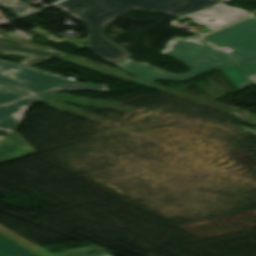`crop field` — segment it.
Segmentation results:
<instances>
[{"label": "crop field", "mask_w": 256, "mask_h": 256, "mask_svg": "<svg viewBox=\"0 0 256 256\" xmlns=\"http://www.w3.org/2000/svg\"><path fill=\"white\" fill-rule=\"evenodd\" d=\"M221 3V0H100L67 12L89 28L90 49L114 63L129 55L102 36L104 25L133 9L187 15Z\"/></svg>", "instance_id": "8a807250"}, {"label": "crop field", "mask_w": 256, "mask_h": 256, "mask_svg": "<svg viewBox=\"0 0 256 256\" xmlns=\"http://www.w3.org/2000/svg\"><path fill=\"white\" fill-rule=\"evenodd\" d=\"M201 41L196 37H173L166 44L167 48L161 51L188 64L193 69V72L190 73L173 75L129 58L114 64L135 75L141 84L156 79L187 80L208 70L235 65L227 53Z\"/></svg>", "instance_id": "ac0d7876"}, {"label": "crop field", "mask_w": 256, "mask_h": 256, "mask_svg": "<svg viewBox=\"0 0 256 256\" xmlns=\"http://www.w3.org/2000/svg\"><path fill=\"white\" fill-rule=\"evenodd\" d=\"M0 84L20 90L37 100L57 89L108 91L107 85L70 81L58 75L1 60Z\"/></svg>", "instance_id": "34b2d1b8"}, {"label": "crop field", "mask_w": 256, "mask_h": 256, "mask_svg": "<svg viewBox=\"0 0 256 256\" xmlns=\"http://www.w3.org/2000/svg\"><path fill=\"white\" fill-rule=\"evenodd\" d=\"M202 39L234 50L228 54L236 64L256 62V18L252 15Z\"/></svg>", "instance_id": "412701ff"}, {"label": "crop field", "mask_w": 256, "mask_h": 256, "mask_svg": "<svg viewBox=\"0 0 256 256\" xmlns=\"http://www.w3.org/2000/svg\"><path fill=\"white\" fill-rule=\"evenodd\" d=\"M248 14L250 13L244 10L219 4L217 6L180 17L177 20L180 21L186 17H193L194 19L190 22L216 30L239 19L245 18ZM209 19H214V21L210 22Z\"/></svg>", "instance_id": "f4fd0767"}, {"label": "crop field", "mask_w": 256, "mask_h": 256, "mask_svg": "<svg viewBox=\"0 0 256 256\" xmlns=\"http://www.w3.org/2000/svg\"><path fill=\"white\" fill-rule=\"evenodd\" d=\"M33 102L35 101L28 97L22 101L0 107V131L11 133L17 129L28 106Z\"/></svg>", "instance_id": "dd49c442"}, {"label": "crop field", "mask_w": 256, "mask_h": 256, "mask_svg": "<svg viewBox=\"0 0 256 256\" xmlns=\"http://www.w3.org/2000/svg\"><path fill=\"white\" fill-rule=\"evenodd\" d=\"M32 153L36 151L16 132L0 143V162Z\"/></svg>", "instance_id": "e52e79f7"}, {"label": "crop field", "mask_w": 256, "mask_h": 256, "mask_svg": "<svg viewBox=\"0 0 256 256\" xmlns=\"http://www.w3.org/2000/svg\"><path fill=\"white\" fill-rule=\"evenodd\" d=\"M0 234L4 237L16 242L17 244L35 252L36 254H38L40 256H69V255H74V254H78V253L102 249V247L92 244L90 246H87V247H84L81 249L52 254V253L42 249L41 247L37 246L36 244L30 242L29 240L21 237L20 235L14 233L13 231L7 229L6 227H4L2 225H0Z\"/></svg>", "instance_id": "d8731c3e"}, {"label": "crop field", "mask_w": 256, "mask_h": 256, "mask_svg": "<svg viewBox=\"0 0 256 256\" xmlns=\"http://www.w3.org/2000/svg\"><path fill=\"white\" fill-rule=\"evenodd\" d=\"M0 51L4 52H13V51H18V52H28L34 56H38L39 58L43 60H48L52 59L55 57H59L63 54L61 53H56V52H49V51H41V50H36L31 47H22V46H15L7 43L0 42Z\"/></svg>", "instance_id": "5a996713"}, {"label": "crop field", "mask_w": 256, "mask_h": 256, "mask_svg": "<svg viewBox=\"0 0 256 256\" xmlns=\"http://www.w3.org/2000/svg\"><path fill=\"white\" fill-rule=\"evenodd\" d=\"M220 70L239 90L253 84L238 66L222 68Z\"/></svg>", "instance_id": "3316defc"}, {"label": "crop field", "mask_w": 256, "mask_h": 256, "mask_svg": "<svg viewBox=\"0 0 256 256\" xmlns=\"http://www.w3.org/2000/svg\"><path fill=\"white\" fill-rule=\"evenodd\" d=\"M0 256H38L0 236Z\"/></svg>", "instance_id": "28ad6ade"}, {"label": "crop field", "mask_w": 256, "mask_h": 256, "mask_svg": "<svg viewBox=\"0 0 256 256\" xmlns=\"http://www.w3.org/2000/svg\"><path fill=\"white\" fill-rule=\"evenodd\" d=\"M0 7L12 12L17 16L37 10L22 0H0Z\"/></svg>", "instance_id": "d1516ede"}, {"label": "crop field", "mask_w": 256, "mask_h": 256, "mask_svg": "<svg viewBox=\"0 0 256 256\" xmlns=\"http://www.w3.org/2000/svg\"><path fill=\"white\" fill-rule=\"evenodd\" d=\"M25 97V95L0 85V105Z\"/></svg>", "instance_id": "22f410ed"}, {"label": "crop field", "mask_w": 256, "mask_h": 256, "mask_svg": "<svg viewBox=\"0 0 256 256\" xmlns=\"http://www.w3.org/2000/svg\"><path fill=\"white\" fill-rule=\"evenodd\" d=\"M95 1L97 0H67L57 6L65 13Z\"/></svg>", "instance_id": "cbeb9de0"}, {"label": "crop field", "mask_w": 256, "mask_h": 256, "mask_svg": "<svg viewBox=\"0 0 256 256\" xmlns=\"http://www.w3.org/2000/svg\"><path fill=\"white\" fill-rule=\"evenodd\" d=\"M242 71L251 79V81L256 84V63L239 66Z\"/></svg>", "instance_id": "5142ce71"}, {"label": "crop field", "mask_w": 256, "mask_h": 256, "mask_svg": "<svg viewBox=\"0 0 256 256\" xmlns=\"http://www.w3.org/2000/svg\"><path fill=\"white\" fill-rule=\"evenodd\" d=\"M78 256H110V255L106 250H100V251L78 255Z\"/></svg>", "instance_id": "d9b57169"}, {"label": "crop field", "mask_w": 256, "mask_h": 256, "mask_svg": "<svg viewBox=\"0 0 256 256\" xmlns=\"http://www.w3.org/2000/svg\"><path fill=\"white\" fill-rule=\"evenodd\" d=\"M37 59H38V58H37ZM42 61H43V60L38 59V60L31 61V62L23 63V64L28 65V66H31V65L40 63V62H42Z\"/></svg>", "instance_id": "733c2abd"}, {"label": "crop field", "mask_w": 256, "mask_h": 256, "mask_svg": "<svg viewBox=\"0 0 256 256\" xmlns=\"http://www.w3.org/2000/svg\"><path fill=\"white\" fill-rule=\"evenodd\" d=\"M14 53H18V52H14ZM20 54L29 55L28 53H20ZM29 56H31V55H29ZM31 57H32V58H31V59H29V60H27V61L37 59V57H33V56H31ZM27 61H25V62H27ZM22 63H23V62H22Z\"/></svg>", "instance_id": "4a817a6b"}, {"label": "crop field", "mask_w": 256, "mask_h": 256, "mask_svg": "<svg viewBox=\"0 0 256 256\" xmlns=\"http://www.w3.org/2000/svg\"><path fill=\"white\" fill-rule=\"evenodd\" d=\"M5 136H0V140H2Z\"/></svg>", "instance_id": "bc2a9ffb"}]
</instances>
